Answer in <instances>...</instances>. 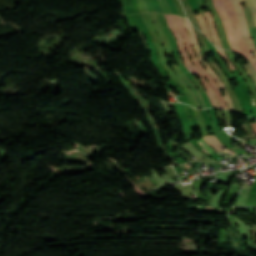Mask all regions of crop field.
<instances>
[{
    "instance_id": "1",
    "label": "crop field",
    "mask_w": 256,
    "mask_h": 256,
    "mask_svg": "<svg viewBox=\"0 0 256 256\" xmlns=\"http://www.w3.org/2000/svg\"><path fill=\"white\" fill-rule=\"evenodd\" d=\"M175 21H176V25H177V28L181 34V36L183 37L184 39V42L187 46V49H188V52L190 54L193 55L194 59H192V63L198 68V70L201 72V74L204 76V78L211 84L212 88H213V91L219 101V104L221 107H224V108H227L226 104H225V101L221 95V92L219 90V88L217 87L216 83L214 82V80L211 78V76L207 73V71L201 66V64L197 61L196 57H195V54L193 52V49L191 47V41H190V38L187 34V31L182 23V21L180 20V18L176 15H173ZM228 109V108H227Z\"/></svg>"
},
{
    "instance_id": "2",
    "label": "crop field",
    "mask_w": 256,
    "mask_h": 256,
    "mask_svg": "<svg viewBox=\"0 0 256 256\" xmlns=\"http://www.w3.org/2000/svg\"><path fill=\"white\" fill-rule=\"evenodd\" d=\"M166 16V19H167V22L169 24V27L171 29V31L174 33L173 35L175 36V38L177 39V43H178V47H179V51L180 53L182 54L183 58L185 59V62H186V67L189 68V67H193L194 65L191 63V61L189 60L188 58V55H187V52H186V49H185V46H184V42H183V39L182 37L180 36L177 28H176V25L174 23V20L172 18L171 15H165ZM189 72L191 73H196L198 74L199 76L200 73L198 72V70L196 69V67L194 68H190L188 69ZM200 82L202 83V85L204 86L208 96H211V95H214L213 91L211 90L209 84L206 82V80L201 76V79H200ZM213 107H219L216 99H215V96H212V97H209Z\"/></svg>"
},
{
    "instance_id": "3",
    "label": "crop field",
    "mask_w": 256,
    "mask_h": 256,
    "mask_svg": "<svg viewBox=\"0 0 256 256\" xmlns=\"http://www.w3.org/2000/svg\"><path fill=\"white\" fill-rule=\"evenodd\" d=\"M183 23L185 24L189 34H190V38H191V41H192V44H193V47H194V50H195V53H196V57L197 59L203 64V66L207 69V71L210 73V75L213 77V79L216 81V83L218 84V86L220 88H224L225 89V92H226V95L224 96V99L228 105V108L230 110H234L233 108V105L231 103V100H230V97L228 95V92L223 84V82L219 79V77L217 76V74L211 69V67L207 64V62H203L202 61V55L200 53V48H199V45H198V42H197V39H196V35H195V32L192 28V25L190 24V22L185 19V18H181ZM235 111V110H234Z\"/></svg>"
},
{
    "instance_id": "4",
    "label": "crop field",
    "mask_w": 256,
    "mask_h": 256,
    "mask_svg": "<svg viewBox=\"0 0 256 256\" xmlns=\"http://www.w3.org/2000/svg\"><path fill=\"white\" fill-rule=\"evenodd\" d=\"M213 4H214V7L218 11V13H219V15H220V17H221V19L224 23V27H225L226 33L228 35L230 46H231L232 50H235V51L239 52L238 46H237L236 41L233 37V33H232V29H231V25H230L228 16L225 12V9H224V6H223L221 0H213Z\"/></svg>"
},
{
    "instance_id": "5",
    "label": "crop field",
    "mask_w": 256,
    "mask_h": 256,
    "mask_svg": "<svg viewBox=\"0 0 256 256\" xmlns=\"http://www.w3.org/2000/svg\"><path fill=\"white\" fill-rule=\"evenodd\" d=\"M234 4H235V7L237 9V12H238V15H239V18H240V22H241V26H242V30H243V35H244V40L245 42L247 43L248 47L250 48V50L252 51L255 59H256V47L249 35V32H248V28H247V24H246V20H245V17H244V13H243V9L241 7V5L239 4V1L238 0H233Z\"/></svg>"
},
{
    "instance_id": "6",
    "label": "crop field",
    "mask_w": 256,
    "mask_h": 256,
    "mask_svg": "<svg viewBox=\"0 0 256 256\" xmlns=\"http://www.w3.org/2000/svg\"><path fill=\"white\" fill-rule=\"evenodd\" d=\"M204 15L206 16L207 20H208V23H209V27H210V30L212 32V36H213V39H214V42H215V45L222 48L221 47V43H220V40L217 36V32H216V27L214 25V22H213V19L211 17V13L210 12H203Z\"/></svg>"
},
{
    "instance_id": "7",
    "label": "crop field",
    "mask_w": 256,
    "mask_h": 256,
    "mask_svg": "<svg viewBox=\"0 0 256 256\" xmlns=\"http://www.w3.org/2000/svg\"><path fill=\"white\" fill-rule=\"evenodd\" d=\"M203 138L216 152L222 150L221 147H223V145L220 143V141L216 138L215 135L206 136Z\"/></svg>"
},
{
    "instance_id": "8",
    "label": "crop field",
    "mask_w": 256,
    "mask_h": 256,
    "mask_svg": "<svg viewBox=\"0 0 256 256\" xmlns=\"http://www.w3.org/2000/svg\"><path fill=\"white\" fill-rule=\"evenodd\" d=\"M202 14V13H201ZM200 13H199V16H196V18L198 19V21H199V23H200V25H201V28H202V30H203V33L211 40V38H210V36H209V34H208V30H207V25H206V23H205V21H204V19H203V17H202V15H201ZM211 42H212V40H211Z\"/></svg>"
},
{
    "instance_id": "9",
    "label": "crop field",
    "mask_w": 256,
    "mask_h": 256,
    "mask_svg": "<svg viewBox=\"0 0 256 256\" xmlns=\"http://www.w3.org/2000/svg\"><path fill=\"white\" fill-rule=\"evenodd\" d=\"M248 2L252 10L254 22L256 24V0H248Z\"/></svg>"
},
{
    "instance_id": "10",
    "label": "crop field",
    "mask_w": 256,
    "mask_h": 256,
    "mask_svg": "<svg viewBox=\"0 0 256 256\" xmlns=\"http://www.w3.org/2000/svg\"><path fill=\"white\" fill-rule=\"evenodd\" d=\"M216 49H217V48H216ZM217 51H218V53L220 54L221 58H224V59H227V60H228L230 70H234L235 68L232 66L231 62L229 61V59H228V57H227V55H226V53H225L223 50H221V49H217Z\"/></svg>"
},
{
    "instance_id": "11",
    "label": "crop field",
    "mask_w": 256,
    "mask_h": 256,
    "mask_svg": "<svg viewBox=\"0 0 256 256\" xmlns=\"http://www.w3.org/2000/svg\"><path fill=\"white\" fill-rule=\"evenodd\" d=\"M251 142H253L256 145V140H252Z\"/></svg>"
},
{
    "instance_id": "12",
    "label": "crop field",
    "mask_w": 256,
    "mask_h": 256,
    "mask_svg": "<svg viewBox=\"0 0 256 256\" xmlns=\"http://www.w3.org/2000/svg\"><path fill=\"white\" fill-rule=\"evenodd\" d=\"M241 1H245L246 5H247V2H246V0H240V3H241ZM247 6H248V5H247Z\"/></svg>"
}]
</instances>
